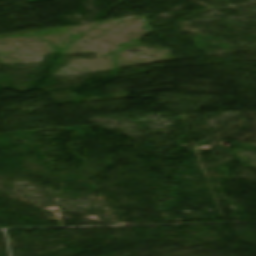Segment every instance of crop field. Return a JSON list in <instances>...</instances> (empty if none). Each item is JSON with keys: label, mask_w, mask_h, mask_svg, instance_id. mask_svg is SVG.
I'll list each match as a JSON object with an SVG mask.
<instances>
[{"label": "crop field", "mask_w": 256, "mask_h": 256, "mask_svg": "<svg viewBox=\"0 0 256 256\" xmlns=\"http://www.w3.org/2000/svg\"><path fill=\"white\" fill-rule=\"evenodd\" d=\"M38 1H47V0H28V2H38Z\"/></svg>", "instance_id": "1"}]
</instances>
